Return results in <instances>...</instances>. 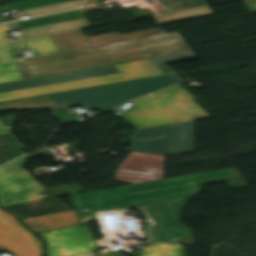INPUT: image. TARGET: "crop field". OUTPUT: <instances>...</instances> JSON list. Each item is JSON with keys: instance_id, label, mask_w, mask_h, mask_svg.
Returning <instances> with one entry per match:
<instances>
[{"instance_id": "1", "label": "crop field", "mask_w": 256, "mask_h": 256, "mask_svg": "<svg viewBox=\"0 0 256 256\" xmlns=\"http://www.w3.org/2000/svg\"><path fill=\"white\" fill-rule=\"evenodd\" d=\"M224 180L231 187L249 186L234 168L70 196L80 217L104 209L135 207L147 219V240L195 245L189 229L179 223L185 203L201 193V184Z\"/></svg>"}, {"instance_id": "2", "label": "crop field", "mask_w": 256, "mask_h": 256, "mask_svg": "<svg viewBox=\"0 0 256 256\" xmlns=\"http://www.w3.org/2000/svg\"><path fill=\"white\" fill-rule=\"evenodd\" d=\"M189 50L185 42L107 56L99 47L22 61L24 78Z\"/></svg>"}, {"instance_id": "3", "label": "crop field", "mask_w": 256, "mask_h": 256, "mask_svg": "<svg viewBox=\"0 0 256 256\" xmlns=\"http://www.w3.org/2000/svg\"><path fill=\"white\" fill-rule=\"evenodd\" d=\"M183 81L178 75H166L141 79L77 91L47 95L63 109L83 104L87 108H98L102 112L121 105L126 100L174 85Z\"/></svg>"}, {"instance_id": "4", "label": "crop field", "mask_w": 256, "mask_h": 256, "mask_svg": "<svg viewBox=\"0 0 256 256\" xmlns=\"http://www.w3.org/2000/svg\"><path fill=\"white\" fill-rule=\"evenodd\" d=\"M193 98L177 85L131 102L136 108L120 117L138 129L209 118L210 116L192 100ZM188 101L199 110L179 112L173 115L167 111Z\"/></svg>"}, {"instance_id": "5", "label": "crop field", "mask_w": 256, "mask_h": 256, "mask_svg": "<svg viewBox=\"0 0 256 256\" xmlns=\"http://www.w3.org/2000/svg\"><path fill=\"white\" fill-rule=\"evenodd\" d=\"M115 66L120 73L1 93L0 102L162 74L148 59L116 64Z\"/></svg>"}, {"instance_id": "6", "label": "crop field", "mask_w": 256, "mask_h": 256, "mask_svg": "<svg viewBox=\"0 0 256 256\" xmlns=\"http://www.w3.org/2000/svg\"><path fill=\"white\" fill-rule=\"evenodd\" d=\"M132 149L120 168L141 172H145V166L163 169L164 156L171 155L170 125L136 132Z\"/></svg>"}, {"instance_id": "7", "label": "crop field", "mask_w": 256, "mask_h": 256, "mask_svg": "<svg viewBox=\"0 0 256 256\" xmlns=\"http://www.w3.org/2000/svg\"><path fill=\"white\" fill-rule=\"evenodd\" d=\"M40 154H43L42 150L0 168V203L2 206L41 199L37 193L43 192L44 187L21 168L27 163L26 159Z\"/></svg>"}, {"instance_id": "8", "label": "crop field", "mask_w": 256, "mask_h": 256, "mask_svg": "<svg viewBox=\"0 0 256 256\" xmlns=\"http://www.w3.org/2000/svg\"><path fill=\"white\" fill-rule=\"evenodd\" d=\"M47 241V256H76L97 250L86 225L39 233Z\"/></svg>"}, {"instance_id": "9", "label": "crop field", "mask_w": 256, "mask_h": 256, "mask_svg": "<svg viewBox=\"0 0 256 256\" xmlns=\"http://www.w3.org/2000/svg\"><path fill=\"white\" fill-rule=\"evenodd\" d=\"M0 248L16 256H42L43 244L14 215L0 209Z\"/></svg>"}, {"instance_id": "10", "label": "crop field", "mask_w": 256, "mask_h": 256, "mask_svg": "<svg viewBox=\"0 0 256 256\" xmlns=\"http://www.w3.org/2000/svg\"><path fill=\"white\" fill-rule=\"evenodd\" d=\"M8 25L10 30H23L25 38L89 26L80 9Z\"/></svg>"}, {"instance_id": "11", "label": "crop field", "mask_w": 256, "mask_h": 256, "mask_svg": "<svg viewBox=\"0 0 256 256\" xmlns=\"http://www.w3.org/2000/svg\"><path fill=\"white\" fill-rule=\"evenodd\" d=\"M119 72L114 65L73 73L0 84V93Z\"/></svg>"}, {"instance_id": "12", "label": "crop field", "mask_w": 256, "mask_h": 256, "mask_svg": "<svg viewBox=\"0 0 256 256\" xmlns=\"http://www.w3.org/2000/svg\"><path fill=\"white\" fill-rule=\"evenodd\" d=\"M83 2L84 0H27L5 5V7L0 8V13L9 10H19L32 17L80 7ZM3 22H5V18H0V23Z\"/></svg>"}, {"instance_id": "13", "label": "crop field", "mask_w": 256, "mask_h": 256, "mask_svg": "<svg viewBox=\"0 0 256 256\" xmlns=\"http://www.w3.org/2000/svg\"><path fill=\"white\" fill-rule=\"evenodd\" d=\"M183 39L180 37L178 32L169 33L159 36H153L133 41H127L112 45L101 46L100 48L107 54H117L141 49H147L177 42H182Z\"/></svg>"}, {"instance_id": "14", "label": "crop field", "mask_w": 256, "mask_h": 256, "mask_svg": "<svg viewBox=\"0 0 256 256\" xmlns=\"http://www.w3.org/2000/svg\"><path fill=\"white\" fill-rule=\"evenodd\" d=\"M4 208L16 213L21 219L70 211L65 205L53 197L45 200L27 202L22 204L4 206Z\"/></svg>"}, {"instance_id": "15", "label": "crop field", "mask_w": 256, "mask_h": 256, "mask_svg": "<svg viewBox=\"0 0 256 256\" xmlns=\"http://www.w3.org/2000/svg\"><path fill=\"white\" fill-rule=\"evenodd\" d=\"M35 233L80 224L74 211L22 220Z\"/></svg>"}, {"instance_id": "16", "label": "crop field", "mask_w": 256, "mask_h": 256, "mask_svg": "<svg viewBox=\"0 0 256 256\" xmlns=\"http://www.w3.org/2000/svg\"><path fill=\"white\" fill-rule=\"evenodd\" d=\"M172 155L193 152L192 121L171 125Z\"/></svg>"}, {"instance_id": "17", "label": "crop field", "mask_w": 256, "mask_h": 256, "mask_svg": "<svg viewBox=\"0 0 256 256\" xmlns=\"http://www.w3.org/2000/svg\"><path fill=\"white\" fill-rule=\"evenodd\" d=\"M165 32L161 29H152L147 31H141V32H135L130 34H124V35H118L117 33L107 34L103 36H97V37H91L89 38L90 42L93 44L94 47L106 45V44H112L132 39H138L153 35H159L164 34Z\"/></svg>"}, {"instance_id": "18", "label": "crop field", "mask_w": 256, "mask_h": 256, "mask_svg": "<svg viewBox=\"0 0 256 256\" xmlns=\"http://www.w3.org/2000/svg\"><path fill=\"white\" fill-rule=\"evenodd\" d=\"M115 179L131 184L160 180L163 179V170L146 167V172L141 173L118 169Z\"/></svg>"}, {"instance_id": "19", "label": "crop field", "mask_w": 256, "mask_h": 256, "mask_svg": "<svg viewBox=\"0 0 256 256\" xmlns=\"http://www.w3.org/2000/svg\"><path fill=\"white\" fill-rule=\"evenodd\" d=\"M51 38L55 42L60 52L90 46L84 39V35L80 30L52 35Z\"/></svg>"}, {"instance_id": "20", "label": "crop field", "mask_w": 256, "mask_h": 256, "mask_svg": "<svg viewBox=\"0 0 256 256\" xmlns=\"http://www.w3.org/2000/svg\"><path fill=\"white\" fill-rule=\"evenodd\" d=\"M60 108L45 96L20 101L0 103V111L13 109Z\"/></svg>"}, {"instance_id": "21", "label": "crop field", "mask_w": 256, "mask_h": 256, "mask_svg": "<svg viewBox=\"0 0 256 256\" xmlns=\"http://www.w3.org/2000/svg\"><path fill=\"white\" fill-rule=\"evenodd\" d=\"M140 254L141 256H184V246L152 243L149 246L143 247Z\"/></svg>"}, {"instance_id": "22", "label": "crop field", "mask_w": 256, "mask_h": 256, "mask_svg": "<svg viewBox=\"0 0 256 256\" xmlns=\"http://www.w3.org/2000/svg\"><path fill=\"white\" fill-rule=\"evenodd\" d=\"M214 13L211 11L209 7L205 8H197V9H190L185 11H179L164 15L153 16L152 18L158 23H167L173 22L178 20L196 18L201 16L213 15Z\"/></svg>"}, {"instance_id": "23", "label": "crop field", "mask_w": 256, "mask_h": 256, "mask_svg": "<svg viewBox=\"0 0 256 256\" xmlns=\"http://www.w3.org/2000/svg\"><path fill=\"white\" fill-rule=\"evenodd\" d=\"M18 44L21 49H32L35 56L59 52L50 36L19 41Z\"/></svg>"}, {"instance_id": "24", "label": "crop field", "mask_w": 256, "mask_h": 256, "mask_svg": "<svg viewBox=\"0 0 256 256\" xmlns=\"http://www.w3.org/2000/svg\"><path fill=\"white\" fill-rule=\"evenodd\" d=\"M193 57H194V55H193L192 51H189V52H183V53L161 56V57H156V58H150L149 60L163 74H166V73H172L173 71L165 63L188 59V58H193Z\"/></svg>"}, {"instance_id": "25", "label": "crop field", "mask_w": 256, "mask_h": 256, "mask_svg": "<svg viewBox=\"0 0 256 256\" xmlns=\"http://www.w3.org/2000/svg\"><path fill=\"white\" fill-rule=\"evenodd\" d=\"M167 12L193 8L206 3L203 0H157Z\"/></svg>"}, {"instance_id": "26", "label": "crop field", "mask_w": 256, "mask_h": 256, "mask_svg": "<svg viewBox=\"0 0 256 256\" xmlns=\"http://www.w3.org/2000/svg\"><path fill=\"white\" fill-rule=\"evenodd\" d=\"M21 79L19 61L0 64V82Z\"/></svg>"}, {"instance_id": "27", "label": "crop field", "mask_w": 256, "mask_h": 256, "mask_svg": "<svg viewBox=\"0 0 256 256\" xmlns=\"http://www.w3.org/2000/svg\"><path fill=\"white\" fill-rule=\"evenodd\" d=\"M24 148L17 142L11 145H7L0 148V165L15 158L23 155Z\"/></svg>"}, {"instance_id": "28", "label": "crop field", "mask_w": 256, "mask_h": 256, "mask_svg": "<svg viewBox=\"0 0 256 256\" xmlns=\"http://www.w3.org/2000/svg\"><path fill=\"white\" fill-rule=\"evenodd\" d=\"M46 190H48L54 196L84 192V190L76 184L54 187V188H48Z\"/></svg>"}, {"instance_id": "29", "label": "crop field", "mask_w": 256, "mask_h": 256, "mask_svg": "<svg viewBox=\"0 0 256 256\" xmlns=\"http://www.w3.org/2000/svg\"><path fill=\"white\" fill-rule=\"evenodd\" d=\"M16 44L8 43L0 45V62L19 59L18 55H12L11 51L17 50Z\"/></svg>"}, {"instance_id": "30", "label": "crop field", "mask_w": 256, "mask_h": 256, "mask_svg": "<svg viewBox=\"0 0 256 256\" xmlns=\"http://www.w3.org/2000/svg\"><path fill=\"white\" fill-rule=\"evenodd\" d=\"M17 141L18 140L15 138L13 134L0 136V147Z\"/></svg>"}, {"instance_id": "31", "label": "crop field", "mask_w": 256, "mask_h": 256, "mask_svg": "<svg viewBox=\"0 0 256 256\" xmlns=\"http://www.w3.org/2000/svg\"><path fill=\"white\" fill-rule=\"evenodd\" d=\"M197 108L195 106H193L190 102L177 107L171 111H169L171 114L175 113V112H179V111H186V110H196Z\"/></svg>"}, {"instance_id": "32", "label": "crop field", "mask_w": 256, "mask_h": 256, "mask_svg": "<svg viewBox=\"0 0 256 256\" xmlns=\"http://www.w3.org/2000/svg\"><path fill=\"white\" fill-rule=\"evenodd\" d=\"M8 29L6 25L0 26V42L9 41L10 38H6Z\"/></svg>"}, {"instance_id": "33", "label": "crop field", "mask_w": 256, "mask_h": 256, "mask_svg": "<svg viewBox=\"0 0 256 256\" xmlns=\"http://www.w3.org/2000/svg\"><path fill=\"white\" fill-rule=\"evenodd\" d=\"M12 132L11 127L6 128L2 122L0 121V135L9 134Z\"/></svg>"}, {"instance_id": "34", "label": "crop field", "mask_w": 256, "mask_h": 256, "mask_svg": "<svg viewBox=\"0 0 256 256\" xmlns=\"http://www.w3.org/2000/svg\"><path fill=\"white\" fill-rule=\"evenodd\" d=\"M79 143L80 141L72 142L69 150L78 151Z\"/></svg>"}, {"instance_id": "35", "label": "crop field", "mask_w": 256, "mask_h": 256, "mask_svg": "<svg viewBox=\"0 0 256 256\" xmlns=\"http://www.w3.org/2000/svg\"><path fill=\"white\" fill-rule=\"evenodd\" d=\"M246 6L251 11V13H256V4H250Z\"/></svg>"}, {"instance_id": "36", "label": "crop field", "mask_w": 256, "mask_h": 256, "mask_svg": "<svg viewBox=\"0 0 256 256\" xmlns=\"http://www.w3.org/2000/svg\"><path fill=\"white\" fill-rule=\"evenodd\" d=\"M245 4L256 3V0H244Z\"/></svg>"}, {"instance_id": "37", "label": "crop field", "mask_w": 256, "mask_h": 256, "mask_svg": "<svg viewBox=\"0 0 256 256\" xmlns=\"http://www.w3.org/2000/svg\"><path fill=\"white\" fill-rule=\"evenodd\" d=\"M88 1H94V0H87V2H88Z\"/></svg>"}]
</instances>
